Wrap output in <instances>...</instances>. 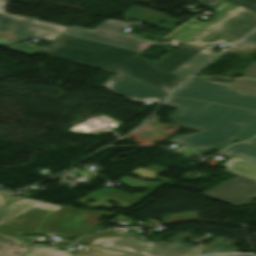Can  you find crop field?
Here are the masks:
<instances>
[{"instance_id": "obj_1", "label": "crop field", "mask_w": 256, "mask_h": 256, "mask_svg": "<svg viewBox=\"0 0 256 256\" xmlns=\"http://www.w3.org/2000/svg\"><path fill=\"white\" fill-rule=\"evenodd\" d=\"M55 47L16 45L6 49L32 56L35 53L117 73L123 70L165 92L183 79L170 72L204 47L184 43L156 65L138 57L141 53L61 34Z\"/></svg>"}, {"instance_id": "obj_2", "label": "crop field", "mask_w": 256, "mask_h": 256, "mask_svg": "<svg viewBox=\"0 0 256 256\" xmlns=\"http://www.w3.org/2000/svg\"><path fill=\"white\" fill-rule=\"evenodd\" d=\"M165 105L178 108L169 120L200 130L170 141L198 149L236 140L231 136L256 115L254 111L172 96Z\"/></svg>"}, {"instance_id": "obj_3", "label": "crop field", "mask_w": 256, "mask_h": 256, "mask_svg": "<svg viewBox=\"0 0 256 256\" xmlns=\"http://www.w3.org/2000/svg\"><path fill=\"white\" fill-rule=\"evenodd\" d=\"M48 211L50 213L39 229L63 232L74 236L102 230L97 220L103 215L114 216L117 214L105 211H81L68 206L44 203L1 224L0 233L25 240L19 235L34 232Z\"/></svg>"}, {"instance_id": "obj_4", "label": "crop field", "mask_w": 256, "mask_h": 256, "mask_svg": "<svg viewBox=\"0 0 256 256\" xmlns=\"http://www.w3.org/2000/svg\"><path fill=\"white\" fill-rule=\"evenodd\" d=\"M188 236L180 234L172 243H154L144 236L99 238L90 245L139 256H190L196 254L199 245L184 244Z\"/></svg>"}, {"instance_id": "obj_5", "label": "crop field", "mask_w": 256, "mask_h": 256, "mask_svg": "<svg viewBox=\"0 0 256 256\" xmlns=\"http://www.w3.org/2000/svg\"><path fill=\"white\" fill-rule=\"evenodd\" d=\"M227 86L224 83L190 78L171 95L256 110V95L227 90Z\"/></svg>"}, {"instance_id": "obj_6", "label": "crop field", "mask_w": 256, "mask_h": 256, "mask_svg": "<svg viewBox=\"0 0 256 256\" xmlns=\"http://www.w3.org/2000/svg\"><path fill=\"white\" fill-rule=\"evenodd\" d=\"M255 27L256 13L236 6L189 42L210 44L221 41L233 44Z\"/></svg>"}, {"instance_id": "obj_7", "label": "crop field", "mask_w": 256, "mask_h": 256, "mask_svg": "<svg viewBox=\"0 0 256 256\" xmlns=\"http://www.w3.org/2000/svg\"><path fill=\"white\" fill-rule=\"evenodd\" d=\"M6 0H0V45L9 46L34 37L51 40L67 27L4 14Z\"/></svg>"}, {"instance_id": "obj_8", "label": "crop field", "mask_w": 256, "mask_h": 256, "mask_svg": "<svg viewBox=\"0 0 256 256\" xmlns=\"http://www.w3.org/2000/svg\"><path fill=\"white\" fill-rule=\"evenodd\" d=\"M129 25L130 24L116 20H106L94 30L71 26L63 33L140 52L145 51L155 43L140 38L119 34Z\"/></svg>"}, {"instance_id": "obj_9", "label": "crop field", "mask_w": 256, "mask_h": 256, "mask_svg": "<svg viewBox=\"0 0 256 256\" xmlns=\"http://www.w3.org/2000/svg\"><path fill=\"white\" fill-rule=\"evenodd\" d=\"M102 87L130 100L145 102L151 100L159 101L167 94L122 72L119 71L115 76L108 80Z\"/></svg>"}, {"instance_id": "obj_10", "label": "crop field", "mask_w": 256, "mask_h": 256, "mask_svg": "<svg viewBox=\"0 0 256 256\" xmlns=\"http://www.w3.org/2000/svg\"><path fill=\"white\" fill-rule=\"evenodd\" d=\"M203 194L235 206H243L256 199V182L237 175Z\"/></svg>"}, {"instance_id": "obj_11", "label": "crop field", "mask_w": 256, "mask_h": 256, "mask_svg": "<svg viewBox=\"0 0 256 256\" xmlns=\"http://www.w3.org/2000/svg\"><path fill=\"white\" fill-rule=\"evenodd\" d=\"M125 18H132L147 24H151L157 27L170 29V30H173L183 22L181 20L176 21L174 19H171L167 15L153 12V11L136 7V6L132 7L131 9L125 12ZM162 20L167 23L164 25L158 24Z\"/></svg>"}, {"instance_id": "obj_12", "label": "crop field", "mask_w": 256, "mask_h": 256, "mask_svg": "<svg viewBox=\"0 0 256 256\" xmlns=\"http://www.w3.org/2000/svg\"><path fill=\"white\" fill-rule=\"evenodd\" d=\"M217 55V53L212 52V48L206 47L198 54L190 58L188 61L180 65L174 71H172V73L184 79Z\"/></svg>"}, {"instance_id": "obj_13", "label": "crop field", "mask_w": 256, "mask_h": 256, "mask_svg": "<svg viewBox=\"0 0 256 256\" xmlns=\"http://www.w3.org/2000/svg\"><path fill=\"white\" fill-rule=\"evenodd\" d=\"M44 202L22 197L0 208V223L17 216Z\"/></svg>"}, {"instance_id": "obj_14", "label": "crop field", "mask_w": 256, "mask_h": 256, "mask_svg": "<svg viewBox=\"0 0 256 256\" xmlns=\"http://www.w3.org/2000/svg\"><path fill=\"white\" fill-rule=\"evenodd\" d=\"M30 246L28 243L0 234V256H22Z\"/></svg>"}, {"instance_id": "obj_15", "label": "crop field", "mask_w": 256, "mask_h": 256, "mask_svg": "<svg viewBox=\"0 0 256 256\" xmlns=\"http://www.w3.org/2000/svg\"><path fill=\"white\" fill-rule=\"evenodd\" d=\"M222 165L225 166L228 171L256 180L255 163L234 156Z\"/></svg>"}, {"instance_id": "obj_16", "label": "crop field", "mask_w": 256, "mask_h": 256, "mask_svg": "<svg viewBox=\"0 0 256 256\" xmlns=\"http://www.w3.org/2000/svg\"><path fill=\"white\" fill-rule=\"evenodd\" d=\"M221 154L230 157L236 155L240 158L256 163V138L246 143L236 144L221 152Z\"/></svg>"}, {"instance_id": "obj_17", "label": "crop field", "mask_w": 256, "mask_h": 256, "mask_svg": "<svg viewBox=\"0 0 256 256\" xmlns=\"http://www.w3.org/2000/svg\"><path fill=\"white\" fill-rule=\"evenodd\" d=\"M228 89L256 94V80L252 79H235Z\"/></svg>"}, {"instance_id": "obj_18", "label": "crop field", "mask_w": 256, "mask_h": 256, "mask_svg": "<svg viewBox=\"0 0 256 256\" xmlns=\"http://www.w3.org/2000/svg\"><path fill=\"white\" fill-rule=\"evenodd\" d=\"M75 256H134V255L91 247L87 245L86 248H84L81 252L77 253Z\"/></svg>"}, {"instance_id": "obj_19", "label": "crop field", "mask_w": 256, "mask_h": 256, "mask_svg": "<svg viewBox=\"0 0 256 256\" xmlns=\"http://www.w3.org/2000/svg\"><path fill=\"white\" fill-rule=\"evenodd\" d=\"M256 135V117H254L248 124H246L239 132H237L234 138L245 141Z\"/></svg>"}, {"instance_id": "obj_20", "label": "crop field", "mask_w": 256, "mask_h": 256, "mask_svg": "<svg viewBox=\"0 0 256 256\" xmlns=\"http://www.w3.org/2000/svg\"><path fill=\"white\" fill-rule=\"evenodd\" d=\"M221 251H237V248L236 246H231L230 243L224 242H210L209 246H202L201 248V253Z\"/></svg>"}, {"instance_id": "obj_21", "label": "crop field", "mask_w": 256, "mask_h": 256, "mask_svg": "<svg viewBox=\"0 0 256 256\" xmlns=\"http://www.w3.org/2000/svg\"><path fill=\"white\" fill-rule=\"evenodd\" d=\"M135 235H139V234H135V233H116L113 229H110V230L101 231V232L95 233L93 235L87 236L83 240H81L80 242L89 244L90 242H92L94 239H96L98 237L135 236Z\"/></svg>"}, {"instance_id": "obj_22", "label": "crop field", "mask_w": 256, "mask_h": 256, "mask_svg": "<svg viewBox=\"0 0 256 256\" xmlns=\"http://www.w3.org/2000/svg\"><path fill=\"white\" fill-rule=\"evenodd\" d=\"M26 256H73V255L60 250L48 248V247H40L38 249L32 250Z\"/></svg>"}, {"instance_id": "obj_23", "label": "crop field", "mask_w": 256, "mask_h": 256, "mask_svg": "<svg viewBox=\"0 0 256 256\" xmlns=\"http://www.w3.org/2000/svg\"><path fill=\"white\" fill-rule=\"evenodd\" d=\"M251 48H246V47ZM238 49H256V30L233 46Z\"/></svg>"}, {"instance_id": "obj_24", "label": "crop field", "mask_w": 256, "mask_h": 256, "mask_svg": "<svg viewBox=\"0 0 256 256\" xmlns=\"http://www.w3.org/2000/svg\"><path fill=\"white\" fill-rule=\"evenodd\" d=\"M244 7L250 8L256 11V0H230Z\"/></svg>"}, {"instance_id": "obj_25", "label": "crop field", "mask_w": 256, "mask_h": 256, "mask_svg": "<svg viewBox=\"0 0 256 256\" xmlns=\"http://www.w3.org/2000/svg\"><path fill=\"white\" fill-rule=\"evenodd\" d=\"M243 76L256 78V61L252 63L244 72Z\"/></svg>"}, {"instance_id": "obj_26", "label": "crop field", "mask_w": 256, "mask_h": 256, "mask_svg": "<svg viewBox=\"0 0 256 256\" xmlns=\"http://www.w3.org/2000/svg\"><path fill=\"white\" fill-rule=\"evenodd\" d=\"M200 1H202L203 3H205V4L209 5L210 7H212L213 5H215L216 3H218L221 0H200Z\"/></svg>"}, {"instance_id": "obj_27", "label": "crop field", "mask_w": 256, "mask_h": 256, "mask_svg": "<svg viewBox=\"0 0 256 256\" xmlns=\"http://www.w3.org/2000/svg\"><path fill=\"white\" fill-rule=\"evenodd\" d=\"M5 204H7V203L5 202V200L3 199L2 195L0 194V206H3Z\"/></svg>"}, {"instance_id": "obj_28", "label": "crop field", "mask_w": 256, "mask_h": 256, "mask_svg": "<svg viewBox=\"0 0 256 256\" xmlns=\"http://www.w3.org/2000/svg\"><path fill=\"white\" fill-rule=\"evenodd\" d=\"M212 256H242V255H212Z\"/></svg>"}]
</instances>
